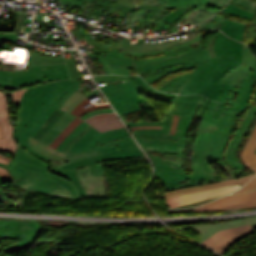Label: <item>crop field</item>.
I'll return each mask as SVG.
<instances>
[{"mask_svg":"<svg viewBox=\"0 0 256 256\" xmlns=\"http://www.w3.org/2000/svg\"><path fill=\"white\" fill-rule=\"evenodd\" d=\"M77 82L80 81L71 82L67 80L49 83L28 89L25 92L14 129L13 137L19 141V145L13 158L50 169L51 172L71 180L81 196L85 197L86 194L78 180L76 168L89 166L91 174L104 175L101 160L138 157L144 154L142 155L136 143L132 140L133 138L131 139L124 128L101 134L91 127L86 134L75 142L69 152L100 150L101 153L66 157L67 162L52 160L29 147V135L33 136L54 108L59 109L69 95L81 87ZM48 105L54 108L48 107Z\"/></svg>","mask_w":256,"mask_h":256,"instance_id":"obj_1","label":"crop field"},{"mask_svg":"<svg viewBox=\"0 0 256 256\" xmlns=\"http://www.w3.org/2000/svg\"><path fill=\"white\" fill-rule=\"evenodd\" d=\"M234 112L223 108L217 123L202 120L192 153L193 170L178 168L176 163L148 154L154 164L182 169L191 173H214L209 164L221 161L219 150L223 135ZM216 172V171H215Z\"/></svg>","mask_w":256,"mask_h":256,"instance_id":"obj_2","label":"crop field"},{"mask_svg":"<svg viewBox=\"0 0 256 256\" xmlns=\"http://www.w3.org/2000/svg\"><path fill=\"white\" fill-rule=\"evenodd\" d=\"M7 170L14 177L12 186L67 198H81L71 181L55 175L47 169L12 159Z\"/></svg>","mask_w":256,"mask_h":256,"instance_id":"obj_3","label":"crop field"},{"mask_svg":"<svg viewBox=\"0 0 256 256\" xmlns=\"http://www.w3.org/2000/svg\"><path fill=\"white\" fill-rule=\"evenodd\" d=\"M243 55L244 66L235 61L224 63L211 71L206 76L204 82L195 80L188 81L180 94L200 93L215 100L219 91L225 84L239 86L245 75L255 69L256 64V58L245 45H243Z\"/></svg>","mask_w":256,"mask_h":256,"instance_id":"obj_4","label":"crop field"},{"mask_svg":"<svg viewBox=\"0 0 256 256\" xmlns=\"http://www.w3.org/2000/svg\"><path fill=\"white\" fill-rule=\"evenodd\" d=\"M209 59L207 50H202L135 64L139 74L150 84L168 73L198 67Z\"/></svg>","mask_w":256,"mask_h":256,"instance_id":"obj_5","label":"crop field"},{"mask_svg":"<svg viewBox=\"0 0 256 256\" xmlns=\"http://www.w3.org/2000/svg\"><path fill=\"white\" fill-rule=\"evenodd\" d=\"M256 82V70L247 74L239 87L232 85H225L221 90L217 100L223 102L224 106L229 110L235 111L229 127L224 135L220 155L223 161V150L228 140V137L234 127L236 119L244 111L247 106L249 97L253 91Z\"/></svg>","mask_w":256,"mask_h":256,"instance_id":"obj_6","label":"crop field"},{"mask_svg":"<svg viewBox=\"0 0 256 256\" xmlns=\"http://www.w3.org/2000/svg\"><path fill=\"white\" fill-rule=\"evenodd\" d=\"M81 32L89 44L108 52L107 55L118 57V58L133 59L134 62H138V61H145V60L169 57V56H173V55H177V54H181V53H185V52H189V51H194V50L207 49V45L202 46V43L195 47H193L190 43L199 40L200 38H202L203 35L211 32V30L206 31L202 35H200L194 39H191L189 41H186L182 44H178V45L172 46V47L164 49V50L153 51V52H149V53H128V52H124V51H121L118 49H112L108 46H105V45L97 42L95 38L92 39V37L88 34V32L86 30H83Z\"/></svg>","mask_w":256,"mask_h":256,"instance_id":"obj_7","label":"crop field"},{"mask_svg":"<svg viewBox=\"0 0 256 256\" xmlns=\"http://www.w3.org/2000/svg\"><path fill=\"white\" fill-rule=\"evenodd\" d=\"M40 235L39 222H18L0 220V236L8 239L24 240L18 244L4 249L13 252L30 246Z\"/></svg>","mask_w":256,"mask_h":256,"instance_id":"obj_8","label":"crop field"},{"mask_svg":"<svg viewBox=\"0 0 256 256\" xmlns=\"http://www.w3.org/2000/svg\"><path fill=\"white\" fill-rule=\"evenodd\" d=\"M45 79H68L65 64L32 67L27 70L12 71V87Z\"/></svg>","mask_w":256,"mask_h":256,"instance_id":"obj_9","label":"crop field"},{"mask_svg":"<svg viewBox=\"0 0 256 256\" xmlns=\"http://www.w3.org/2000/svg\"><path fill=\"white\" fill-rule=\"evenodd\" d=\"M158 177L163 182L165 188H172L185 185L200 184L220 180L214 174H191L181 170L165 168L156 165Z\"/></svg>","mask_w":256,"mask_h":256,"instance_id":"obj_10","label":"crop field"},{"mask_svg":"<svg viewBox=\"0 0 256 256\" xmlns=\"http://www.w3.org/2000/svg\"><path fill=\"white\" fill-rule=\"evenodd\" d=\"M253 207H256V190L248 193L238 194V195H228L212 203H209L201 208L167 210V212L212 211V210L253 208Z\"/></svg>","mask_w":256,"mask_h":256,"instance_id":"obj_11","label":"crop field"},{"mask_svg":"<svg viewBox=\"0 0 256 256\" xmlns=\"http://www.w3.org/2000/svg\"><path fill=\"white\" fill-rule=\"evenodd\" d=\"M213 49L217 56L234 54L235 59L219 61L209 65L199 73L197 79L203 80L209 71H211L212 69H214L216 66H218L223 62L235 60L236 62L243 64L242 43L229 39L225 34L221 32L214 41Z\"/></svg>","mask_w":256,"mask_h":256,"instance_id":"obj_12","label":"crop field"},{"mask_svg":"<svg viewBox=\"0 0 256 256\" xmlns=\"http://www.w3.org/2000/svg\"><path fill=\"white\" fill-rule=\"evenodd\" d=\"M253 231L250 225L223 230L216 233L202 244L223 255L231 245Z\"/></svg>","mask_w":256,"mask_h":256,"instance_id":"obj_13","label":"crop field"},{"mask_svg":"<svg viewBox=\"0 0 256 256\" xmlns=\"http://www.w3.org/2000/svg\"><path fill=\"white\" fill-rule=\"evenodd\" d=\"M256 116V105L249 109L244 121L242 122L240 128L238 129L235 137L231 140L228 149L225 154V162L237 173H241L246 167L240 164L235 156L236 151L249 130L254 118Z\"/></svg>","mask_w":256,"mask_h":256,"instance_id":"obj_14","label":"crop field"},{"mask_svg":"<svg viewBox=\"0 0 256 256\" xmlns=\"http://www.w3.org/2000/svg\"><path fill=\"white\" fill-rule=\"evenodd\" d=\"M240 185L233 186V187H227V188H221V189H215V190H209V191H203V192H197L193 194L183 195V196H177V197H171L166 199L168 205L170 208L187 205L199 201H203L209 198L222 196L225 194L232 193L236 190H238Z\"/></svg>","mask_w":256,"mask_h":256,"instance_id":"obj_15","label":"crop field"},{"mask_svg":"<svg viewBox=\"0 0 256 256\" xmlns=\"http://www.w3.org/2000/svg\"><path fill=\"white\" fill-rule=\"evenodd\" d=\"M140 145L178 151L179 137L156 133L133 134Z\"/></svg>","mask_w":256,"mask_h":256,"instance_id":"obj_16","label":"crop field"},{"mask_svg":"<svg viewBox=\"0 0 256 256\" xmlns=\"http://www.w3.org/2000/svg\"><path fill=\"white\" fill-rule=\"evenodd\" d=\"M229 0H166L164 6H139L143 9H170L173 7H193L208 10V6L223 8Z\"/></svg>","mask_w":256,"mask_h":256,"instance_id":"obj_17","label":"crop field"},{"mask_svg":"<svg viewBox=\"0 0 256 256\" xmlns=\"http://www.w3.org/2000/svg\"><path fill=\"white\" fill-rule=\"evenodd\" d=\"M215 16L216 17L206 24L202 29H221L229 37L242 42V35L247 25L246 23L226 19L217 15Z\"/></svg>","mask_w":256,"mask_h":256,"instance_id":"obj_18","label":"crop field"},{"mask_svg":"<svg viewBox=\"0 0 256 256\" xmlns=\"http://www.w3.org/2000/svg\"><path fill=\"white\" fill-rule=\"evenodd\" d=\"M248 224H250L254 229H256V217L239 219V220H234V221H229V222L214 224V225H199V226H191V227L193 230L200 233L201 237L199 242L201 243L222 229L237 227V226H244Z\"/></svg>","mask_w":256,"mask_h":256,"instance_id":"obj_19","label":"crop field"},{"mask_svg":"<svg viewBox=\"0 0 256 256\" xmlns=\"http://www.w3.org/2000/svg\"><path fill=\"white\" fill-rule=\"evenodd\" d=\"M77 173L88 196L106 194L104 183L107 176H92L89 173L88 167L77 169Z\"/></svg>","mask_w":256,"mask_h":256,"instance_id":"obj_20","label":"crop field"},{"mask_svg":"<svg viewBox=\"0 0 256 256\" xmlns=\"http://www.w3.org/2000/svg\"><path fill=\"white\" fill-rule=\"evenodd\" d=\"M140 92L118 95L108 98L114 108L119 112H125L140 108L138 103L148 102L147 99L140 97Z\"/></svg>","mask_w":256,"mask_h":256,"instance_id":"obj_21","label":"crop field"},{"mask_svg":"<svg viewBox=\"0 0 256 256\" xmlns=\"http://www.w3.org/2000/svg\"><path fill=\"white\" fill-rule=\"evenodd\" d=\"M191 120L192 119H188V118L181 117V116L179 118L177 130H176V134H175L177 136H180L179 152L157 149V148H152V147H145V146H143V148L156 150V151H160V152H167V153H171V154H176V155H178L177 164H178L179 167H182L184 149H185V141H186V136H187V132H188Z\"/></svg>","mask_w":256,"mask_h":256,"instance_id":"obj_22","label":"crop field"},{"mask_svg":"<svg viewBox=\"0 0 256 256\" xmlns=\"http://www.w3.org/2000/svg\"><path fill=\"white\" fill-rule=\"evenodd\" d=\"M256 125L251 131L242 151L240 152L239 159L242 164L256 171Z\"/></svg>","mask_w":256,"mask_h":256,"instance_id":"obj_23","label":"crop field"},{"mask_svg":"<svg viewBox=\"0 0 256 256\" xmlns=\"http://www.w3.org/2000/svg\"><path fill=\"white\" fill-rule=\"evenodd\" d=\"M29 143H30V146L37 152H39L43 155H46L52 159H57L60 161H66L65 156H80V155H86V154L99 152V151H96V152H90V153H87V152L64 153V152L55 150L54 148H51L32 137H29Z\"/></svg>","mask_w":256,"mask_h":256,"instance_id":"obj_24","label":"crop field"},{"mask_svg":"<svg viewBox=\"0 0 256 256\" xmlns=\"http://www.w3.org/2000/svg\"><path fill=\"white\" fill-rule=\"evenodd\" d=\"M94 128H96L101 133L107 130L121 128L123 125L116 117L115 113L112 114H100L90 117L88 120Z\"/></svg>","mask_w":256,"mask_h":256,"instance_id":"obj_25","label":"crop field"},{"mask_svg":"<svg viewBox=\"0 0 256 256\" xmlns=\"http://www.w3.org/2000/svg\"><path fill=\"white\" fill-rule=\"evenodd\" d=\"M3 139H0V149L15 153L18 141L12 138L14 126L10 125L9 115L0 116Z\"/></svg>","mask_w":256,"mask_h":256,"instance_id":"obj_26","label":"crop field"},{"mask_svg":"<svg viewBox=\"0 0 256 256\" xmlns=\"http://www.w3.org/2000/svg\"><path fill=\"white\" fill-rule=\"evenodd\" d=\"M201 95L181 96L173 104L170 112L189 117Z\"/></svg>","mask_w":256,"mask_h":256,"instance_id":"obj_27","label":"crop field"},{"mask_svg":"<svg viewBox=\"0 0 256 256\" xmlns=\"http://www.w3.org/2000/svg\"><path fill=\"white\" fill-rule=\"evenodd\" d=\"M124 40L120 43V45L117 48L124 51H129V52H149L153 50L167 48L178 43H182V40H177V41H173L165 44L143 45V39H138V45H132V44L123 43Z\"/></svg>","mask_w":256,"mask_h":256,"instance_id":"obj_28","label":"crop field"},{"mask_svg":"<svg viewBox=\"0 0 256 256\" xmlns=\"http://www.w3.org/2000/svg\"><path fill=\"white\" fill-rule=\"evenodd\" d=\"M74 118L75 116L65 113L57 124L40 141L49 145Z\"/></svg>","mask_w":256,"mask_h":256,"instance_id":"obj_29","label":"crop field"},{"mask_svg":"<svg viewBox=\"0 0 256 256\" xmlns=\"http://www.w3.org/2000/svg\"><path fill=\"white\" fill-rule=\"evenodd\" d=\"M127 78L142 92H145L151 96L174 101L175 94H167V93L159 92V91L153 89L152 87H150L149 85H147L139 76L127 77Z\"/></svg>","mask_w":256,"mask_h":256,"instance_id":"obj_30","label":"crop field"},{"mask_svg":"<svg viewBox=\"0 0 256 256\" xmlns=\"http://www.w3.org/2000/svg\"><path fill=\"white\" fill-rule=\"evenodd\" d=\"M26 90L15 91L8 94L0 92V114H9V103L20 104L21 97Z\"/></svg>","mask_w":256,"mask_h":256,"instance_id":"obj_31","label":"crop field"},{"mask_svg":"<svg viewBox=\"0 0 256 256\" xmlns=\"http://www.w3.org/2000/svg\"><path fill=\"white\" fill-rule=\"evenodd\" d=\"M102 91L109 96L139 91L131 82L101 86Z\"/></svg>","mask_w":256,"mask_h":256,"instance_id":"obj_32","label":"crop field"},{"mask_svg":"<svg viewBox=\"0 0 256 256\" xmlns=\"http://www.w3.org/2000/svg\"><path fill=\"white\" fill-rule=\"evenodd\" d=\"M63 114L64 112L55 109L48 117L45 124L35 133L34 138L40 140L55 125Z\"/></svg>","mask_w":256,"mask_h":256,"instance_id":"obj_33","label":"crop field"},{"mask_svg":"<svg viewBox=\"0 0 256 256\" xmlns=\"http://www.w3.org/2000/svg\"><path fill=\"white\" fill-rule=\"evenodd\" d=\"M61 63H65L62 58L42 57L39 53L32 51L28 67Z\"/></svg>","mask_w":256,"mask_h":256,"instance_id":"obj_34","label":"crop field"},{"mask_svg":"<svg viewBox=\"0 0 256 256\" xmlns=\"http://www.w3.org/2000/svg\"><path fill=\"white\" fill-rule=\"evenodd\" d=\"M91 103L87 98L85 100H83L72 112V114L78 116L79 118L83 115H85L86 113L92 111V110H97V109H105V108H110L109 104L106 105H91L88 106L86 108H84L83 106L87 105Z\"/></svg>","mask_w":256,"mask_h":256,"instance_id":"obj_35","label":"crop field"},{"mask_svg":"<svg viewBox=\"0 0 256 256\" xmlns=\"http://www.w3.org/2000/svg\"><path fill=\"white\" fill-rule=\"evenodd\" d=\"M86 98L83 94L79 92H74L70 95L67 101L62 105L60 110L67 111L71 113L73 109L84 99Z\"/></svg>","mask_w":256,"mask_h":256,"instance_id":"obj_36","label":"crop field"},{"mask_svg":"<svg viewBox=\"0 0 256 256\" xmlns=\"http://www.w3.org/2000/svg\"><path fill=\"white\" fill-rule=\"evenodd\" d=\"M82 120L75 118L66 129L50 144V146L57 148L59 144L76 128V126L81 123Z\"/></svg>","mask_w":256,"mask_h":256,"instance_id":"obj_37","label":"crop field"},{"mask_svg":"<svg viewBox=\"0 0 256 256\" xmlns=\"http://www.w3.org/2000/svg\"><path fill=\"white\" fill-rule=\"evenodd\" d=\"M211 102L212 101H210L209 99L202 96L201 100L199 101V103L195 107L191 117H196V118L203 119L208 107L211 104Z\"/></svg>","mask_w":256,"mask_h":256,"instance_id":"obj_38","label":"crop field"},{"mask_svg":"<svg viewBox=\"0 0 256 256\" xmlns=\"http://www.w3.org/2000/svg\"><path fill=\"white\" fill-rule=\"evenodd\" d=\"M223 12H226L228 14L234 15V16H238V17H242V18H247V19H252L255 15V13L252 12H248L245 11L243 9H240L236 6L230 5L228 4L224 10H222Z\"/></svg>","mask_w":256,"mask_h":256,"instance_id":"obj_39","label":"crop field"},{"mask_svg":"<svg viewBox=\"0 0 256 256\" xmlns=\"http://www.w3.org/2000/svg\"><path fill=\"white\" fill-rule=\"evenodd\" d=\"M222 105L223 104L219 102L213 101L206 113L204 120H210V121L216 122L221 113Z\"/></svg>","mask_w":256,"mask_h":256,"instance_id":"obj_40","label":"crop field"},{"mask_svg":"<svg viewBox=\"0 0 256 256\" xmlns=\"http://www.w3.org/2000/svg\"><path fill=\"white\" fill-rule=\"evenodd\" d=\"M109 65L112 66H124V67H136L133 60L118 59L109 56H103Z\"/></svg>","mask_w":256,"mask_h":256,"instance_id":"obj_41","label":"crop field"},{"mask_svg":"<svg viewBox=\"0 0 256 256\" xmlns=\"http://www.w3.org/2000/svg\"><path fill=\"white\" fill-rule=\"evenodd\" d=\"M134 8L131 7H125L119 3H117L110 11V15H115L119 17H125L127 14H129Z\"/></svg>","mask_w":256,"mask_h":256,"instance_id":"obj_42","label":"crop field"},{"mask_svg":"<svg viewBox=\"0 0 256 256\" xmlns=\"http://www.w3.org/2000/svg\"><path fill=\"white\" fill-rule=\"evenodd\" d=\"M88 124L84 121L77 126V128L61 143V145L57 148L59 150H63L67 144L75 137L77 133H79L84 127H86Z\"/></svg>","mask_w":256,"mask_h":256,"instance_id":"obj_43","label":"crop field"},{"mask_svg":"<svg viewBox=\"0 0 256 256\" xmlns=\"http://www.w3.org/2000/svg\"><path fill=\"white\" fill-rule=\"evenodd\" d=\"M230 58H234L233 55H227V56H220V57H216L212 60H209L207 62H205L204 64H202L200 67L196 68V70L194 71V73L191 76V79H195L198 75V73L203 70L207 65H209L210 63L214 62V61H219V60H223V59H230Z\"/></svg>","mask_w":256,"mask_h":256,"instance_id":"obj_44","label":"crop field"},{"mask_svg":"<svg viewBox=\"0 0 256 256\" xmlns=\"http://www.w3.org/2000/svg\"><path fill=\"white\" fill-rule=\"evenodd\" d=\"M0 86L3 88L11 87V71H0Z\"/></svg>","mask_w":256,"mask_h":256,"instance_id":"obj_45","label":"crop field"},{"mask_svg":"<svg viewBox=\"0 0 256 256\" xmlns=\"http://www.w3.org/2000/svg\"><path fill=\"white\" fill-rule=\"evenodd\" d=\"M94 79L97 81V83H100V82L126 80L127 78L124 76L104 75V76H94Z\"/></svg>","mask_w":256,"mask_h":256,"instance_id":"obj_46","label":"crop field"},{"mask_svg":"<svg viewBox=\"0 0 256 256\" xmlns=\"http://www.w3.org/2000/svg\"><path fill=\"white\" fill-rule=\"evenodd\" d=\"M235 182H237L236 179L227 180V181H224V182L215 183V184H209V185H205V186L192 187V188H188V189H184V190L171 191V192L165 193V195H166V194H171V193H177V192L187 191V190L200 189V188L209 187V186H219V185H224V184H227V183H235Z\"/></svg>","mask_w":256,"mask_h":256,"instance_id":"obj_47","label":"crop field"},{"mask_svg":"<svg viewBox=\"0 0 256 256\" xmlns=\"http://www.w3.org/2000/svg\"><path fill=\"white\" fill-rule=\"evenodd\" d=\"M189 77L190 75L176 81L167 92L178 94L181 86L189 79Z\"/></svg>","mask_w":256,"mask_h":256,"instance_id":"obj_48","label":"crop field"},{"mask_svg":"<svg viewBox=\"0 0 256 256\" xmlns=\"http://www.w3.org/2000/svg\"><path fill=\"white\" fill-rule=\"evenodd\" d=\"M93 2L94 0H87ZM98 4L91 11L93 14L100 15L105 6L110 2V0H98Z\"/></svg>","mask_w":256,"mask_h":256,"instance_id":"obj_49","label":"crop field"},{"mask_svg":"<svg viewBox=\"0 0 256 256\" xmlns=\"http://www.w3.org/2000/svg\"><path fill=\"white\" fill-rule=\"evenodd\" d=\"M243 7H247L253 10H256V2L253 0H231Z\"/></svg>","mask_w":256,"mask_h":256,"instance_id":"obj_50","label":"crop field"},{"mask_svg":"<svg viewBox=\"0 0 256 256\" xmlns=\"http://www.w3.org/2000/svg\"><path fill=\"white\" fill-rule=\"evenodd\" d=\"M192 73H193V72H191V73H185V74H180V75H178V76H176V77L170 79V81L168 80L169 82L165 83L159 90L166 92V91L169 89V87H170L177 79H179V78H181V77H183V76H186V75H188V74H192Z\"/></svg>","mask_w":256,"mask_h":256,"instance_id":"obj_51","label":"crop field"},{"mask_svg":"<svg viewBox=\"0 0 256 256\" xmlns=\"http://www.w3.org/2000/svg\"><path fill=\"white\" fill-rule=\"evenodd\" d=\"M217 11H219V10H216V11H202L194 19L201 22V21L207 19L208 17H210L211 15H213L214 13H216Z\"/></svg>","mask_w":256,"mask_h":256,"instance_id":"obj_52","label":"crop field"},{"mask_svg":"<svg viewBox=\"0 0 256 256\" xmlns=\"http://www.w3.org/2000/svg\"><path fill=\"white\" fill-rule=\"evenodd\" d=\"M237 184H239V183H236V184H227V185L220 186V187H209V188H205V189L193 190V191L182 192V193H177V194H172V195H166L165 198H168V197H171V196H176V195H183V194L193 193V192L202 191V190H209V189H215V188L233 186V185H237Z\"/></svg>","mask_w":256,"mask_h":256,"instance_id":"obj_53","label":"crop field"},{"mask_svg":"<svg viewBox=\"0 0 256 256\" xmlns=\"http://www.w3.org/2000/svg\"><path fill=\"white\" fill-rule=\"evenodd\" d=\"M165 125H166V117L163 119L162 130H156V129L135 130V131H132V133H139V132H156V133H162V134H164Z\"/></svg>","mask_w":256,"mask_h":256,"instance_id":"obj_54","label":"crop field"},{"mask_svg":"<svg viewBox=\"0 0 256 256\" xmlns=\"http://www.w3.org/2000/svg\"><path fill=\"white\" fill-rule=\"evenodd\" d=\"M253 188H256V176L244 188H242L240 191H237L235 193H242L244 191H247Z\"/></svg>","mask_w":256,"mask_h":256,"instance_id":"obj_55","label":"crop field"},{"mask_svg":"<svg viewBox=\"0 0 256 256\" xmlns=\"http://www.w3.org/2000/svg\"><path fill=\"white\" fill-rule=\"evenodd\" d=\"M220 164L231 176V178H236L239 174L235 173L224 161L223 162H217Z\"/></svg>","mask_w":256,"mask_h":256,"instance_id":"obj_56","label":"crop field"},{"mask_svg":"<svg viewBox=\"0 0 256 256\" xmlns=\"http://www.w3.org/2000/svg\"><path fill=\"white\" fill-rule=\"evenodd\" d=\"M129 127L140 126V125H162V122H133L128 123Z\"/></svg>","mask_w":256,"mask_h":256,"instance_id":"obj_57","label":"crop field"},{"mask_svg":"<svg viewBox=\"0 0 256 256\" xmlns=\"http://www.w3.org/2000/svg\"><path fill=\"white\" fill-rule=\"evenodd\" d=\"M218 33H219V31L216 33L215 36L211 37V39L209 40L208 51H209L210 58H213L216 56L212 49V44H213L214 39L217 37Z\"/></svg>","mask_w":256,"mask_h":256,"instance_id":"obj_58","label":"crop field"},{"mask_svg":"<svg viewBox=\"0 0 256 256\" xmlns=\"http://www.w3.org/2000/svg\"><path fill=\"white\" fill-rule=\"evenodd\" d=\"M70 63H71L72 69H73V73H74L75 79L76 80H81L82 77H81V75H80V73H79V71H78L74 61L70 60Z\"/></svg>","mask_w":256,"mask_h":256,"instance_id":"obj_59","label":"crop field"},{"mask_svg":"<svg viewBox=\"0 0 256 256\" xmlns=\"http://www.w3.org/2000/svg\"><path fill=\"white\" fill-rule=\"evenodd\" d=\"M106 112H113L112 109H106V110H97V111H93L90 112L88 114H86L85 116L81 117L82 119H86L94 114H98V113H106Z\"/></svg>","mask_w":256,"mask_h":256,"instance_id":"obj_60","label":"crop field"},{"mask_svg":"<svg viewBox=\"0 0 256 256\" xmlns=\"http://www.w3.org/2000/svg\"><path fill=\"white\" fill-rule=\"evenodd\" d=\"M113 1L119 2L125 6H131V7L136 8V6L134 5L135 0H113Z\"/></svg>","mask_w":256,"mask_h":256,"instance_id":"obj_61","label":"crop field"},{"mask_svg":"<svg viewBox=\"0 0 256 256\" xmlns=\"http://www.w3.org/2000/svg\"><path fill=\"white\" fill-rule=\"evenodd\" d=\"M172 117H173V115H170V114H168V116H167V125H166L165 134H169V131L171 129Z\"/></svg>","mask_w":256,"mask_h":256,"instance_id":"obj_62","label":"crop field"},{"mask_svg":"<svg viewBox=\"0 0 256 256\" xmlns=\"http://www.w3.org/2000/svg\"><path fill=\"white\" fill-rule=\"evenodd\" d=\"M254 174H256V173H253V174H250V175H247L245 177L238 179L241 186L244 185Z\"/></svg>","mask_w":256,"mask_h":256,"instance_id":"obj_63","label":"crop field"},{"mask_svg":"<svg viewBox=\"0 0 256 256\" xmlns=\"http://www.w3.org/2000/svg\"><path fill=\"white\" fill-rule=\"evenodd\" d=\"M178 117H179V116H175V115H174V117H173L172 129H171V131H170V134H172V135H174V133H175V129H176Z\"/></svg>","mask_w":256,"mask_h":256,"instance_id":"obj_64","label":"crop field"},{"mask_svg":"<svg viewBox=\"0 0 256 256\" xmlns=\"http://www.w3.org/2000/svg\"><path fill=\"white\" fill-rule=\"evenodd\" d=\"M0 175L4 176V177H7V178H10V179L13 178L7 170H5L1 167H0Z\"/></svg>","mask_w":256,"mask_h":256,"instance_id":"obj_65","label":"crop field"},{"mask_svg":"<svg viewBox=\"0 0 256 256\" xmlns=\"http://www.w3.org/2000/svg\"><path fill=\"white\" fill-rule=\"evenodd\" d=\"M66 64H67V69H68L70 78H71V80L73 81V80H75V79H74V76H73V73H72V70H71V66H70V63H69V60H68V59L66 60Z\"/></svg>","mask_w":256,"mask_h":256,"instance_id":"obj_66","label":"crop field"},{"mask_svg":"<svg viewBox=\"0 0 256 256\" xmlns=\"http://www.w3.org/2000/svg\"><path fill=\"white\" fill-rule=\"evenodd\" d=\"M146 128L161 129V126H140V127H133V128H131V130H134V129H146Z\"/></svg>","mask_w":256,"mask_h":256,"instance_id":"obj_67","label":"crop field"},{"mask_svg":"<svg viewBox=\"0 0 256 256\" xmlns=\"http://www.w3.org/2000/svg\"><path fill=\"white\" fill-rule=\"evenodd\" d=\"M10 160H11V158L0 156V162L1 163H7L8 164Z\"/></svg>","mask_w":256,"mask_h":256,"instance_id":"obj_68","label":"crop field"},{"mask_svg":"<svg viewBox=\"0 0 256 256\" xmlns=\"http://www.w3.org/2000/svg\"><path fill=\"white\" fill-rule=\"evenodd\" d=\"M9 181V179L4 178V177H0V185H2L3 183Z\"/></svg>","mask_w":256,"mask_h":256,"instance_id":"obj_69","label":"crop field"},{"mask_svg":"<svg viewBox=\"0 0 256 256\" xmlns=\"http://www.w3.org/2000/svg\"><path fill=\"white\" fill-rule=\"evenodd\" d=\"M45 81H48V80H45ZM45 81H41V82H45ZM41 82H36V83H41ZM36 83H32V84H36ZM32 84H27V85H23V86H18V87H14V88H11V89H17V88H21V87L28 86V85H32Z\"/></svg>","mask_w":256,"mask_h":256,"instance_id":"obj_70","label":"crop field"},{"mask_svg":"<svg viewBox=\"0 0 256 256\" xmlns=\"http://www.w3.org/2000/svg\"><path fill=\"white\" fill-rule=\"evenodd\" d=\"M98 92H99L98 89H96V90H94V91H92V92L86 94V96L90 97V96H92V95H94V94H96V93H98Z\"/></svg>","mask_w":256,"mask_h":256,"instance_id":"obj_71","label":"crop field"},{"mask_svg":"<svg viewBox=\"0 0 256 256\" xmlns=\"http://www.w3.org/2000/svg\"><path fill=\"white\" fill-rule=\"evenodd\" d=\"M0 166L6 169L8 165H7V164H1V163H0Z\"/></svg>","mask_w":256,"mask_h":256,"instance_id":"obj_72","label":"crop field"},{"mask_svg":"<svg viewBox=\"0 0 256 256\" xmlns=\"http://www.w3.org/2000/svg\"><path fill=\"white\" fill-rule=\"evenodd\" d=\"M0 138H2V134H1V126H0Z\"/></svg>","mask_w":256,"mask_h":256,"instance_id":"obj_73","label":"crop field"},{"mask_svg":"<svg viewBox=\"0 0 256 256\" xmlns=\"http://www.w3.org/2000/svg\"><path fill=\"white\" fill-rule=\"evenodd\" d=\"M256 153V152H255Z\"/></svg>","mask_w":256,"mask_h":256,"instance_id":"obj_74","label":"crop field"}]
</instances>
